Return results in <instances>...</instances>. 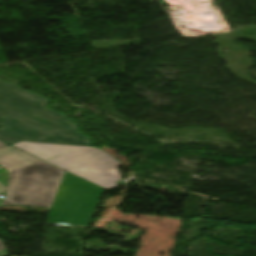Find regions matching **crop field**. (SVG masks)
I'll return each instance as SVG.
<instances>
[{
	"label": "crop field",
	"mask_w": 256,
	"mask_h": 256,
	"mask_svg": "<svg viewBox=\"0 0 256 256\" xmlns=\"http://www.w3.org/2000/svg\"><path fill=\"white\" fill-rule=\"evenodd\" d=\"M13 146L106 190L122 179L117 169L122 164L98 148L30 142ZM67 172L47 224L87 226L103 189Z\"/></svg>",
	"instance_id": "obj_1"
},
{
	"label": "crop field",
	"mask_w": 256,
	"mask_h": 256,
	"mask_svg": "<svg viewBox=\"0 0 256 256\" xmlns=\"http://www.w3.org/2000/svg\"><path fill=\"white\" fill-rule=\"evenodd\" d=\"M49 100L0 81V139L12 145L20 141L91 145L88 136L64 115L43 106Z\"/></svg>",
	"instance_id": "obj_2"
},
{
	"label": "crop field",
	"mask_w": 256,
	"mask_h": 256,
	"mask_svg": "<svg viewBox=\"0 0 256 256\" xmlns=\"http://www.w3.org/2000/svg\"><path fill=\"white\" fill-rule=\"evenodd\" d=\"M0 165L10 172L0 175L7 190L1 206H32L50 209L64 171L13 147L0 149ZM3 186V187H4ZM0 186V192L3 191Z\"/></svg>",
	"instance_id": "obj_3"
},
{
	"label": "crop field",
	"mask_w": 256,
	"mask_h": 256,
	"mask_svg": "<svg viewBox=\"0 0 256 256\" xmlns=\"http://www.w3.org/2000/svg\"><path fill=\"white\" fill-rule=\"evenodd\" d=\"M0 256H8L4 246L1 245V242H0Z\"/></svg>",
	"instance_id": "obj_4"
},
{
	"label": "crop field",
	"mask_w": 256,
	"mask_h": 256,
	"mask_svg": "<svg viewBox=\"0 0 256 256\" xmlns=\"http://www.w3.org/2000/svg\"><path fill=\"white\" fill-rule=\"evenodd\" d=\"M3 146H6V145L0 142V148L3 147Z\"/></svg>",
	"instance_id": "obj_5"
}]
</instances>
